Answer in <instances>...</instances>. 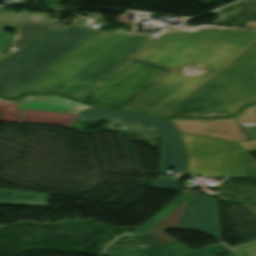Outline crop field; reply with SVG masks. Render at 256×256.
Instances as JSON below:
<instances>
[{
  "label": "crop field",
  "mask_w": 256,
  "mask_h": 256,
  "mask_svg": "<svg viewBox=\"0 0 256 256\" xmlns=\"http://www.w3.org/2000/svg\"><path fill=\"white\" fill-rule=\"evenodd\" d=\"M156 188H165V189H174V190H183L184 187H180L177 185V180H165V179H157L153 185Z\"/></svg>",
  "instance_id": "dafd665d"
},
{
  "label": "crop field",
  "mask_w": 256,
  "mask_h": 256,
  "mask_svg": "<svg viewBox=\"0 0 256 256\" xmlns=\"http://www.w3.org/2000/svg\"><path fill=\"white\" fill-rule=\"evenodd\" d=\"M79 117L81 120L107 118L110 120V123L107 124L109 130H121L120 128H114V126L120 125L114 110L98 109L93 107L81 113Z\"/></svg>",
  "instance_id": "d9b57169"
},
{
  "label": "crop field",
  "mask_w": 256,
  "mask_h": 256,
  "mask_svg": "<svg viewBox=\"0 0 256 256\" xmlns=\"http://www.w3.org/2000/svg\"><path fill=\"white\" fill-rule=\"evenodd\" d=\"M13 36L7 33H0V60L4 59L5 51L10 46Z\"/></svg>",
  "instance_id": "00972430"
},
{
  "label": "crop field",
  "mask_w": 256,
  "mask_h": 256,
  "mask_svg": "<svg viewBox=\"0 0 256 256\" xmlns=\"http://www.w3.org/2000/svg\"><path fill=\"white\" fill-rule=\"evenodd\" d=\"M254 109H255V111H256V105H254V106H252Z\"/></svg>",
  "instance_id": "bd1437ed"
},
{
  "label": "crop field",
  "mask_w": 256,
  "mask_h": 256,
  "mask_svg": "<svg viewBox=\"0 0 256 256\" xmlns=\"http://www.w3.org/2000/svg\"><path fill=\"white\" fill-rule=\"evenodd\" d=\"M174 226L193 227L192 215H191V209H190V197H189L188 201L186 202L178 219L176 220Z\"/></svg>",
  "instance_id": "bc2a9ffb"
},
{
  "label": "crop field",
  "mask_w": 256,
  "mask_h": 256,
  "mask_svg": "<svg viewBox=\"0 0 256 256\" xmlns=\"http://www.w3.org/2000/svg\"><path fill=\"white\" fill-rule=\"evenodd\" d=\"M256 101V45L167 115H231Z\"/></svg>",
  "instance_id": "412701ff"
},
{
  "label": "crop field",
  "mask_w": 256,
  "mask_h": 256,
  "mask_svg": "<svg viewBox=\"0 0 256 256\" xmlns=\"http://www.w3.org/2000/svg\"><path fill=\"white\" fill-rule=\"evenodd\" d=\"M191 194L196 229L219 237L215 201L199 194Z\"/></svg>",
  "instance_id": "d1516ede"
},
{
  "label": "crop field",
  "mask_w": 256,
  "mask_h": 256,
  "mask_svg": "<svg viewBox=\"0 0 256 256\" xmlns=\"http://www.w3.org/2000/svg\"><path fill=\"white\" fill-rule=\"evenodd\" d=\"M169 69L131 59L82 99L111 107H123Z\"/></svg>",
  "instance_id": "dd49c442"
},
{
  "label": "crop field",
  "mask_w": 256,
  "mask_h": 256,
  "mask_svg": "<svg viewBox=\"0 0 256 256\" xmlns=\"http://www.w3.org/2000/svg\"><path fill=\"white\" fill-rule=\"evenodd\" d=\"M152 34L127 31L100 32L26 92H60L80 98L164 33H157L158 37Z\"/></svg>",
  "instance_id": "ac0d7876"
},
{
  "label": "crop field",
  "mask_w": 256,
  "mask_h": 256,
  "mask_svg": "<svg viewBox=\"0 0 256 256\" xmlns=\"http://www.w3.org/2000/svg\"><path fill=\"white\" fill-rule=\"evenodd\" d=\"M181 132L225 139L229 141L246 140L238 124L256 125V113L250 107L235 118L219 120H175Z\"/></svg>",
  "instance_id": "5a996713"
},
{
  "label": "crop field",
  "mask_w": 256,
  "mask_h": 256,
  "mask_svg": "<svg viewBox=\"0 0 256 256\" xmlns=\"http://www.w3.org/2000/svg\"><path fill=\"white\" fill-rule=\"evenodd\" d=\"M18 24L19 21L6 17L5 8L0 7V31L4 27L17 29Z\"/></svg>",
  "instance_id": "92a150f3"
},
{
  "label": "crop field",
  "mask_w": 256,
  "mask_h": 256,
  "mask_svg": "<svg viewBox=\"0 0 256 256\" xmlns=\"http://www.w3.org/2000/svg\"><path fill=\"white\" fill-rule=\"evenodd\" d=\"M99 31L62 24L47 28L20 52L0 62L2 95L14 98L21 94L50 68L65 59Z\"/></svg>",
  "instance_id": "34b2d1b8"
},
{
  "label": "crop field",
  "mask_w": 256,
  "mask_h": 256,
  "mask_svg": "<svg viewBox=\"0 0 256 256\" xmlns=\"http://www.w3.org/2000/svg\"><path fill=\"white\" fill-rule=\"evenodd\" d=\"M76 114L18 109L17 102L0 99V120L69 125Z\"/></svg>",
  "instance_id": "3316defc"
},
{
  "label": "crop field",
  "mask_w": 256,
  "mask_h": 256,
  "mask_svg": "<svg viewBox=\"0 0 256 256\" xmlns=\"http://www.w3.org/2000/svg\"><path fill=\"white\" fill-rule=\"evenodd\" d=\"M165 234L163 231H157L131 236L130 240L143 246L127 250H109L106 254L108 256H209L224 251L229 256H235L220 243L191 251Z\"/></svg>",
  "instance_id": "d8731c3e"
},
{
  "label": "crop field",
  "mask_w": 256,
  "mask_h": 256,
  "mask_svg": "<svg viewBox=\"0 0 256 256\" xmlns=\"http://www.w3.org/2000/svg\"><path fill=\"white\" fill-rule=\"evenodd\" d=\"M12 3H28V2H27V0H24V1H13ZM34 3H35L36 5H38V4L36 3V0H34Z\"/></svg>",
  "instance_id": "d3111659"
},
{
  "label": "crop field",
  "mask_w": 256,
  "mask_h": 256,
  "mask_svg": "<svg viewBox=\"0 0 256 256\" xmlns=\"http://www.w3.org/2000/svg\"><path fill=\"white\" fill-rule=\"evenodd\" d=\"M185 203H182L178 206L173 212H171L168 216L162 219L160 222L151 227L147 232L163 230L166 227L173 226L175 220L177 219L179 213L181 212Z\"/></svg>",
  "instance_id": "733c2abd"
},
{
  "label": "crop field",
  "mask_w": 256,
  "mask_h": 256,
  "mask_svg": "<svg viewBox=\"0 0 256 256\" xmlns=\"http://www.w3.org/2000/svg\"><path fill=\"white\" fill-rule=\"evenodd\" d=\"M19 108L79 113L91 106L51 95H25L18 101Z\"/></svg>",
  "instance_id": "28ad6ade"
},
{
  "label": "crop field",
  "mask_w": 256,
  "mask_h": 256,
  "mask_svg": "<svg viewBox=\"0 0 256 256\" xmlns=\"http://www.w3.org/2000/svg\"><path fill=\"white\" fill-rule=\"evenodd\" d=\"M115 111L121 127H126L124 131L165 133L161 172H165L166 167H173L175 173H184L186 153L173 124L163 118H153L129 111ZM143 124H148L149 128H143Z\"/></svg>",
  "instance_id": "e52e79f7"
},
{
  "label": "crop field",
  "mask_w": 256,
  "mask_h": 256,
  "mask_svg": "<svg viewBox=\"0 0 256 256\" xmlns=\"http://www.w3.org/2000/svg\"><path fill=\"white\" fill-rule=\"evenodd\" d=\"M200 26L197 27H191V26H180L172 29H177V30H183V31H188V32H194L196 29H198Z\"/></svg>",
  "instance_id": "4177f3b9"
},
{
  "label": "crop field",
  "mask_w": 256,
  "mask_h": 256,
  "mask_svg": "<svg viewBox=\"0 0 256 256\" xmlns=\"http://www.w3.org/2000/svg\"><path fill=\"white\" fill-rule=\"evenodd\" d=\"M188 196H189V193L186 189V191L183 194H181L179 197H177L175 200H173L170 204H168L165 208H163L155 216H153L151 219H149L147 222H145L143 225H141L136 230H134L124 236L128 237L131 235L146 233L147 229H149L155 223H157L162 218H164L166 215H168L171 211H173L182 202H185L187 200Z\"/></svg>",
  "instance_id": "5142ce71"
},
{
  "label": "crop field",
  "mask_w": 256,
  "mask_h": 256,
  "mask_svg": "<svg viewBox=\"0 0 256 256\" xmlns=\"http://www.w3.org/2000/svg\"><path fill=\"white\" fill-rule=\"evenodd\" d=\"M256 42V30L202 25L195 33L169 29L134 59L171 69L124 107L163 115ZM187 67H199L186 77Z\"/></svg>",
  "instance_id": "8a807250"
},
{
  "label": "crop field",
  "mask_w": 256,
  "mask_h": 256,
  "mask_svg": "<svg viewBox=\"0 0 256 256\" xmlns=\"http://www.w3.org/2000/svg\"><path fill=\"white\" fill-rule=\"evenodd\" d=\"M180 134L190 155L188 175L246 176L249 154L239 144Z\"/></svg>",
  "instance_id": "f4fd0767"
},
{
  "label": "crop field",
  "mask_w": 256,
  "mask_h": 256,
  "mask_svg": "<svg viewBox=\"0 0 256 256\" xmlns=\"http://www.w3.org/2000/svg\"><path fill=\"white\" fill-rule=\"evenodd\" d=\"M49 196L0 190V203L47 204Z\"/></svg>",
  "instance_id": "cbeb9de0"
},
{
  "label": "crop field",
  "mask_w": 256,
  "mask_h": 256,
  "mask_svg": "<svg viewBox=\"0 0 256 256\" xmlns=\"http://www.w3.org/2000/svg\"><path fill=\"white\" fill-rule=\"evenodd\" d=\"M45 2H46V4H47V1H51V0H44ZM53 1H55L52 5H49V4H47L49 7H62L61 5H58V2L59 1H65V0H53Z\"/></svg>",
  "instance_id": "eef30255"
},
{
  "label": "crop field",
  "mask_w": 256,
  "mask_h": 256,
  "mask_svg": "<svg viewBox=\"0 0 256 256\" xmlns=\"http://www.w3.org/2000/svg\"><path fill=\"white\" fill-rule=\"evenodd\" d=\"M159 177H161V178H169V179H173V177L163 176V175H159Z\"/></svg>",
  "instance_id": "750c4746"
},
{
  "label": "crop field",
  "mask_w": 256,
  "mask_h": 256,
  "mask_svg": "<svg viewBox=\"0 0 256 256\" xmlns=\"http://www.w3.org/2000/svg\"><path fill=\"white\" fill-rule=\"evenodd\" d=\"M246 27L256 28V22H247Z\"/></svg>",
  "instance_id": "ae1a2a85"
},
{
  "label": "crop field",
  "mask_w": 256,
  "mask_h": 256,
  "mask_svg": "<svg viewBox=\"0 0 256 256\" xmlns=\"http://www.w3.org/2000/svg\"><path fill=\"white\" fill-rule=\"evenodd\" d=\"M200 70L198 68H188L186 70V75L187 76H195L199 74Z\"/></svg>",
  "instance_id": "730fd06b"
},
{
  "label": "crop field",
  "mask_w": 256,
  "mask_h": 256,
  "mask_svg": "<svg viewBox=\"0 0 256 256\" xmlns=\"http://www.w3.org/2000/svg\"><path fill=\"white\" fill-rule=\"evenodd\" d=\"M18 9L21 10L23 13L13 15V10L11 9V12L7 13V16L14 18L16 20H19V21L42 20V19H50L51 18L50 13H48V12L32 14V13L22 10L20 8H18Z\"/></svg>",
  "instance_id": "4a817a6b"
},
{
  "label": "crop field",
  "mask_w": 256,
  "mask_h": 256,
  "mask_svg": "<svg viewBox=\"0 0 256 256\" xmlns=\"http://www.w3.org/2000/svg\"><path fill=\"white\" fill-rule=\"evenodd\" d=\"M241 256H256V241L231 247Z\"/></svg>",
  "instance_id": "214f88e0"
},
{
  "label": "crop field",
  "mask_w": 256,
  "mask_h": 256,
  "mask_svg": "<svg viewBox=\"0 0 256 256\" xmlns=\"http://www.w3.org/2000/svg\"><path fill=\"white\" fill-rule=\"evenodd\" d=\"M243 142V141H242ZM246 151L255 150L256 149V140L239 143Z\"/></svg>",
  "instance_id": "a9b5d70f"
},
{
  "label": "crop field",
  "mask_w": 256,
  "mask_h": 256,
  "mask_svg": "<svg viewBox=\"0 0 256 256\" xmlns=\"http://www.w3.org/2000/svg\"><path fill=\"white\" fill-rule=\"evenodd\" d=\"M50 23H55V20L20 22L19 27L15 33V37L11 44V46L16 49L9 50V52L6 54V57L17 51L19 48L23 47L25 44H27Z\"/></svg>",
  "instance_id": "22f410ed"
}]
</instances>
